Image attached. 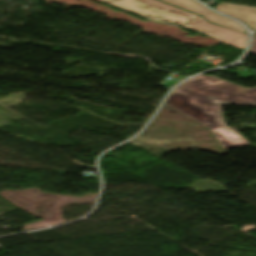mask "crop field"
I'll return each instance as SVG.
<instances>
[{
	"label": "crop field",
	"mask_w": 256,
	"mask_h": 256,
	"mask_svg": "<svg viewBox=\"0 0 256 256\" xmlns=\"http://www.w3.org/2000/svg\"><path fill=\"white\" fill-rule=\"evenodd\" d=\"M165 104L213 130L225 150L250 144L225 124L221 105L256 106V88L248 89L201 75L177 88Z\"/></svg>",
	"instance_id": "obj_1"
},
{
	"label": "crop field",
	"mask_w": 256,
	"mask_h": 256,
	"mask_svg": "<svg viewBox=\"0 0 256 256\" xmlns=\"http://www.w3.org/2000/svg\"><path fill=\"white\" fill-rule=\"evenodd\" d=\"M113 7L135 13L148 20L183 27L208 35L222 43L244 50L247 37L215 26L201 17L156 0H98Z\"/></svg>",
	"instance_id": "obj_2"
},
{
	"label": "crop field",
	"mask_w": 256,
	"mask_h": 256,
	"mask_svg": "<svg viewBox=\"0 0 256 256\" xmlns=\"http://www.w3.org/2000/svg\"><path fill=\"white\" fill-rule=\"evenodd\" d=\"M161 1L189 10L191 12L197 13L219 25L229 27L235 30H239L242 32H246L245 29L241 25H239L237 22L215 14L193 0H161Z\"/></svg>",
	"instance_id": "obj_3"
},
{
	"label": "crop field",
	"mask_w": 256,
	"mask_h": 256,
	"mask_svg": "<svg viewBox=\"0 0 256 256\" xmlns=\"http://www.w3.org/2000/svg\"><path fill=\"white\" fill-rule=\"evenodd\" d=\"M216 10L231 15L251 27L252 31L256 30V8L240 6L228 3H221Z\"/></svg>",
	"instance_id": "obj_4"
},
{
	"label": "crop field",
	"mask_w": 256,
	"mask_h": 256,
	"mask_svg": "<svg viewBox=\"0 0 256 256\" xmlns=\"http://www.w3.org/2000/svg\"><path fill=\"white\" fill-rule=\"evenodd\" d=\"M248 52L256 54V38H254V37H253L252 44H251Z\"/></svg>",
	"instance_id": "obj_5"
},
{
	"label": "crop field",
	"mask_w": 256,
	"mask_h": 256,
	"mask_svg": "<svg viewBox=\"0 0 256 256\" xmlns=\"http://www.w3.org/2000/svg\"><path fill=\"white\" fill-rule=\"evenodd\" d=\"M256 36V34H254Z\"/></svg>",
	"instance_id": "obj_6"
}]
</instances>
